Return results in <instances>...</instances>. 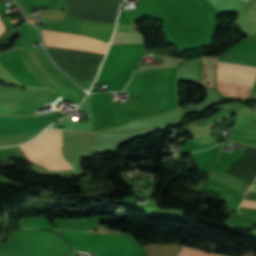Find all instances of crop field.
Returning a JSON list of instances; mask_svg holds the SVG:
<instances>
[{"mask_svg":"<svg viewBox=\"0 0 256 256\" xmlns=\"http://www.w3.org/2000/svg\"><path fill=\"white\" fill-rule=\"evenodd\" d=\"M245 1H247V0H245Z\"/></svg>","mask_w":256,"mask_h":256,"instance_id":"obj_11","label":"crop field"},{"mask_svg":"<svg viewBox=\"0 0 256 256\" xmlns=\"http://www.w3.org/2000/svg\"><path fill=\"white\" fill-rule=\"evenodd\" d=\"M117 31H135L131 25H117Z\"/></svg>","mask_w":256,"mask_h":256,"instance_id":"obj_8","label":"crop field"},{"mask_svg":"<svg viewBox=\"0 0 256 256\" xmlns=\"http://www.w3.org/2000/svg\"><path fill=\"white\" fill-rule=\"evenodd\" d=\"M60 130H46L37 138L19 146L29 160L51 170L73 169L61 155Z\"/></svg>","mask_w":256,"mask_h":256,"instance_id":"obj_1","label":"crop field"},{"mask_svg":"<svg viewBox=\"0 0 256 256\" xmlns=\"http://www.w3.org/2000/svg\"><path fill=\"white\" fill-rule=\"evenodd\" d=\"M181 249H182V246H181ZM194 251H195L194 249L183 246L182 253H180L179 256H192ZM207 255H208L207 252L196 250L193 256H207Z\"/></svg>","mask_w":256,"mask_h":256,"instance_id":"obj_7","label":"crop field"},{"mask_svg":"<svg viewBox=\"0 0 256 256\" xmlns=\"http://www.w3.org/2000/svg\"><path fill=\"white\" fill-rule=\"evenodd\" d=\"M252 187L256 188V184H253ZM249 192L256 193V189L250 188ZM245 199L256 200V194L248 193ZM248 200H244L240 206L256 208V201H248Z\"/></svg>","mask_w":256,"mask_h":256,"instance_id":"obj_6","label":"crop field"},{"mask_svg":"<svg viewBox=\"0 0 256 256\" xmlns=\"http://www.w3.org/2000/svg\"><path fill=\"white\" fill-rule=\"evenodd\" d=\"M7 30L6 27L4 26V24L2 23L1 19H0V33Z\"/></svg>","mask_w":256,"mask_h":256,"instance_id":"obj_9","label":"crop field"},{"mask_svg":"<svg viewBox=\"0 0 256 256\" xmlns=\"http://www.w3.org/2000/svg\"><path fill=\"white\" fill-rule=\"evenodd\" d=\"M255 79L256 67L217 62L216 80L252 86Z\"/></svg>","mask_w":256,"mask_h":256,"instance_id":"obj_3","label":"crop field"},{"mask_svg":"<svg viewBox=\"0 0 256 256\" xmlns=\"http://www.w3.org/2000/svg\"><path fill=\"white\" fill-rule=\"evenodd\" d=\"M46 46L106 53L108 44L98 39L65 32L42 30Z\"/></svg>","mask_w":256,"mask_h":256,"instance_id":"obj_2","label":"crop field"},{"mask_svg":"<svg viewBox=\"0 0 256 256\" xmlns=\"http://www.w3.org/2000/svg\"><path fill=\"white\" fill-rule=\"evenodd\" d=\"M208 179L220 182V183L234 189L235 191L239 192L242 195H245V193L249 187L236 179H233L225 174L218 173V172L211 173Z\"/></svg>","mask_w":256,"mask_h":256,"instance_id":"obj_5","label":"crop field"},{"mask_svg":"<svg viewBox=\"0 0 256 256\" xmlns=\"http://www.w3.org/2000/svg\"><path fill=\"white\" fill-rule=\"evenodd\" d=\"M114 26L115 25L98 24L84 20L78 33L93 36L109 42Z\"/></svg>","mask_w":256,"mask_h":256,"instance_id":"obj_4","label":"crop field"},{"mask_svg":"<svg viewBox=\"0 0 256 256\" xmlns=\"http://www.w3.org/2000/svg\"><path fill=\"white\" fill-rule=\"evenodd\" d=\"M208 256H223V255H218V254H212V253H209Z\"/></svg>","mask_w":256,"mask_h":256,"instance_id":"obj_10","label":"crop field"}]
</instances>
